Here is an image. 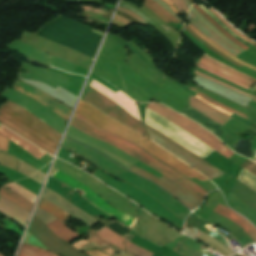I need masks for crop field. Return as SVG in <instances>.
<instances>
[{"label": "crop field", "mask_w": 256, "mask_h": 256, "mask_svg": "<svg viewBox=\"0 0 256 256\" xmlns=\"http://www.w3.org/2000/svg\"><path fill=\"white\" fill-rule=\"evenodd\" d=\"M34 216H36L38 219H40L45 224L57 219L54 216H52L51 214H49L39 208H36Z\"/></svg>", "instance_id": "28"}, {"label": "crop field", "mask_w": 256, "mask_h": 256, "mask_svg": "<svg viewBox=\"0 0 256 256\" xmlns=\"http://www.w3.org/2000/svg\"><path fill=\"white\" fill-rule=\"evenodd\" d=\"M175 6L178 8V10L181 12L182 8L184 9V11L187 13L188 9L186 7V5L184 4L183 0H171Z\"/></svg>", "instance_id": "38"}, {"label": "crop field", "mask_w": 256, "mask_h": 256, "mask_svg": "<svg viewBox=\"0 0 256 256\" xmlns=\"http://www.w3.org/2000/svg\"><path fill=\"white\" fill-rule=\"evenodd\" d=\"M195 9L201 13L207 20H209L216 28H218L224 35H226L228 38H230L233 42H235L237 45H239L243 49H247L246 46H244L242 43H240L238 40H236L234 37L226 33L212 18H210L200 7H198L196 4L193 5ZM229 39V40H230Z\"/></svg>", "instance_id": "27"}, {"label": "crop field", "mask_w": 256, "mask_h": 256, "mask_svg": "<svg viewBox=\"0 0 256 256\" xmlns=\"http://www.w3.org/2000/svg\"><path fill=\"white\" fill-rule=\"evenodd\" d=\"M191 12L201 21H203L215 34H217L220 38H222L224 41L229 43L230 45L238 48L241 52L244 51L231 41H229L227 38H225L220 31H218L211 23H209L202 15H200L193 7L191 9Z\"/></svg>", "instance_id": "26"}, {"label": "crop field", "mask_w": 256, "mask_h": 256, "mask_svg": "<svg viewBox=\"0 0 256 256\" xmlns=\"http://www.w3.org/2000/svg\"><path fill=\"white\" fill-rule=\"evenodd\" d=\"M158 4H160L163 8H165L169 13H171L174 17H176L181 23H183V21L172 11V9L166 5L164 2H162L161 0H155Z\"/></svg>", "instance_id": "36"}, {"label": "crop field", "mask_w": 256, "mask_h": 256, "mask_svg": "<svg viewBox=\"0 0 256 256\" xmlns=\"http://www.w3.org/2000/svg\"><path fill=\"white\" fill-rule=\"evenodd\" d=\"M190 29H192L199 37H201L202 39H204L205 41H207L209 44H211L213 47H215L216 49H218L219 51L223 52L224 54H226L227 56H229L230 58H232L233 60H235L236 62H239L253 70L256 71V68L253 66H250L244 62H242L241 60L237 59L236 57H234L233 55L229 54L228 52H226L224 49H222L221 47H219L218 45H216L214 42H212L210 39H208L207 37H205L203 34H201L199 31H197L190 23L187 25Z\"/></svg>", "instance_id": "24"}, {"label": "crop field", "mask_w": 256, "mask_h": 256, "mask_svg": "<svg viewBox=\"0 0 256 256\" xmlns=\"http://www.w3.org/2000/svg\"><path fill=\"white\" fill-rule=\"evenodd\" d=\"M195 97H197V98H199L200 100L206 102L207 104L211 105L212 107L216 108L217 110H219V111H221V112H223V113H225V114H227V115H229V116L231 115V113H229V112H227V111H225V110H223V109H221V108H219V107L214 106L213 104L207 102L206 100H204V99L201 98L200 96L197 95V96H195Z\"/></svg>", "instance_id": "42"}, {"label": "crop field", "mask_w": 256, "mask_h": 256, "mask_svg": "<svg viewBox=\"0 0 256 256\" xmlns=\"http://www.w3.org/2000/svg\"><path fill=\"white\" fill-rule=\"evenodd\" d=\"M28 231L39 240L47 249L58 253L61 256H88L77 251L67 242L53 234L41 221L33 217ZM29 232H27L24 243L32 244L37 247L46 249L39 241H37Z\"/></svg>", "instance_id": "4"}, {"label": "crop field", "mask_w": 256, "mask_h": 256, "mask_svg": "<svg viewBox=\"0 0 256 256\" xmlns=\"http://www.w3.org/2000/svg\"><path fill=\"white\" fill-rule=\"evenodd\" d=\"M0 135L10 139L11 141H13L14 143H16L17 145L21 146L22 148H24L25 150H27L28 152H30L35 158H39L41 157L43 154H45L46 152L38 149L37 147H35L34 145H32L30 142H28L27 140L21 138L20 136L8 131L7 129L1 127L0 128ZM29 153V154H30Z\"/></svg>", "instance_id": "17"}, {"label": "crop field", "mask_w": 256, "mask_h": 256, "mask_svg": "<svg viewBox=\"0 0 256 256\" xmlns=\"http://www.w3.org/2000/svg\"><path fill=\"white\" fill-rule=\"evenodd\" d=\"M41 197L47 199L51 203L55 204L56 206L60 207L61 209L65 210L67 213L71 214L87 226L91 227L97 223H99L97 220L93 219L89 215L85 214L82 210L75 207L71 203H69L67 200H65L63 197H61L59 194L44 188L43 193ZM70 211L75 212V214H72Z\"/></svg>", "instance_id": "11"}, {"label": "crop field", "mask_w": 256, "mask_h": 256, "mask_svg": "<svg viewBox=\"0 0 256 256\" xmlns=\"http://www.w3.org/2000/svg\"><path fill=\"white\" fill-rule=\"evenodd\" d=\"M148 3H150L152 6L157 8L162 14H164L166 17H168L173 23H179L177 19H175L171 14H169L165 9H163L161 6H159L157 3H155L152 0H144Z\"/></svg>", "instance_id": "32"}, {"label": "crop field", "mask_w": 256, "mask_h": 256, "mask_svg": "<svg viewBox=\"0 0 256 256\" xmlns=\"http://www.w3.org/2000/svg\"><path fill=\"white\" fill-rule=\"evenodd\" d=\"M9 140L0 136V148L7 151L9 146Z\"/></svg>", "instance_id": "40"}, {"label": "crop field", "mask_w": 256, "mask_h": 256, "mask_svg": "<svg viewBox=\"0 0 256 256\" xmlns=\"http://www.w3.org/2000/svg\"><path fill=\"white\" fill-rule=\"evenodd\" d=\"M29 85L20 80H16L13 85V90L29 95L30 97L34 98L38 102L42 103L43 105L54 111L64 120L68 121L70 113L72 111L71 109H69L59 101L55 100L54 98L46 95L45 93L33 88L34 86L31 87L32 85Z\"/></svg>", "instance_id": "9"}, {"label": "crop field", "mask_w": 256, "mask_h": 256, "mask_svg": "<svg viewBox=\"0 0 256 256\" xmlns=\"http://www.w3.org/2000/svg\"><path fill=\"white\" fill-rule=\"evenodd\" d=\"M118 11L124 12V13H126V14L132 16L133 18H135L136 20H138V21L141 22V23H146L143 19H141V18H140L139 16H137L135 13H133V12H131V11L125 9V8L119 7V8H118Z\"/></svg>", "instance_id": "35"}, {"label": "crop field", "mask_w": 256, "mask_h": 256, "mask_svg": "<svg viewBox=\"0 0 256 256\" xmlns=\"http://www.w3.org/2000/svg\"><path fill=\"white\" fill-rule=\"evenodd\" d=\"M0 196L8 199L12 202H14L15 204L19 205L20 207L24 208L25 210H27L28 212H31L34 204H32L31 202L21 198L20 196H18L16 193H14L13 191L3 187L0 190Z\"/></svg>", "instance_id": "20"}, {"label": "crop field", "mask_w": 256, "mask_h": 256, "mask_svg": "<svg viewBox=\"0 0 256 256\" xmlns=\"http://www.w3.org/2000/svg\"><path fill=\"white\" fill-rule=\"evenodd\" d=\"M198 67H200V68H202V69H204V70H206V71H209V72H211V73H213V74H216V75H218V76H220V77H222V78H225V79H227V80H229V81H231V82H234V83H236V84H238V85H240V86H242V87L248 89L247 86L242 85V84H240V83H238V82H235V81H233V80H231V79H228V78H226V77H223V76H221V75H219V74H217V73H215V72H213V71H211V70H209V69H207V68H205V67H203V66H201V65H198Z\"/></svg>", "instance_id": "41"}, {"label": "crop field", "mask_w": 256, "mask_h": 256, "mask_svg": "<svg viewBox=\"0 0 256 256\" xmlns=\"http://www.w3.org/2000/svg\"><path fill=\"white\" fill-rule=\"evenodd\" d=\"M164 2L168 3L170 5V7L173 9V11L178 14L177 10L174 8V6L172 5L173 3L170 0H163Z\"/></svg>", "instance_id": "45"}, {"label": "crop field", "mask_w": 256, "mask_h": 256, "mask_svg": "<svg viewBox=\"0 0 256 256\" xmlns=\"http://www.w3.org/2000/svg\"><path fill=\"white\" fill-rule=\"evenodd\" d=\"M184 28H185L190 34H192L198 41H200L203 45H205L207 48H209V49H211V50L217 52L218 54H220L221 56L225 57L226 59H228V60L231 61L232 63H234V64H236V65H238V66H240V67L243 66V65H241V64H238V63L232 61V60L229 59L227 56H225L223 53H221V52L217 51L216 49L212 48L209 44H207L204 40H202V39L199 38L194 32H192L186 25L184 26Z\"/></svg>", "instance_id": "29"}, {"label": "crop field", "mask_w": 256, "mask_h": 256, "mask_svg": "<svg viewBox=\"0 0 256 256\" xmlns=\"http://www.w3.org/2000/svg\"><path fill=\"white\" fill-rule=\"evenodd\" d=\"M86 242H87V241L82 240V241H79L78 243H74V244H72V245L78 249L79 247H81V246H82L83 244H85Z\"/></svg>", "instance_id": "44"}, {"label": "crop field", "mask_w": 256, "mask_h": 256, "mask_svg": "<svg viewBox=\"0 0 256 256\" xmlns=\"http://www.w3.org/2000/svg\"><path fill=\"white\" fill-rule=\"evenodd\" d=\"M204 57L206 58V59H208V60H210V61H212V62H214V63H216V64H218V65H220V66H222V67H224V68H226V69H228V70H231V71H233V72H235V73H238V74H240V75H242V76H245V77H247V78H249V79H251V80H253V81H255L256 82V79H254V78H252V77H249V76H247V75H245V74H243V73H240V72H238V71H236V70H234V69H231V68H229V67H227V66H225V65H223V64H221V63H219L218 61H216V60H214L213 58H211L210 56H208V55H204Z\"/></svg>", "instance_id": "33"}, {"label": "crop field", "mask_w": 256, "mask_h": 256, "mask_svg": "<svg viewBox=\"0 0 256 256\" xmlns=\"http://www.w3.org/2000/svg\"><path fill=\"white\" fill-rule=\"evenodd\" d=\"M91 256H108L106 254H104L103 252L99 251V250H96V251H87L85 252Z\"/></svg>", "instance_id": "43"}, {"label": "crop field", "mask_w": 256, "mask_h": 256, "mask_svg": "<svg viewBox=\"0 0 256 256\" xmlns=\"http://www.w3.org/2000/svg\"><path fill=\"white\" fill-rule=\"evenodd\" d=\"M240 166H242L243 168H245L246 170H248L249 172L256 176V163L248 160Z\"/></svg>", "instance_id": "34"}, {"label": "crop field", "mask_w": 256, "mask_h": 256, "mask_svg": "<svg viewBox=\"0 0 256 256\" xmlns=\"http://www.w3.org/2000/svg\"><path fill=\"white\" fill-rule=\"evenodd\" d=\"M147 108L153 110L160 116L164 117L165 119L175 123L176 125L184 128L191 134H193L195 137L209 145L211 148L225 156L226 158H230L234 153L229 151L228 148H225V146L220 143L218 139H216L214 136H212L207 131L203 130L196 124H194L192 121L182 117L181 115L177 114L173 110L169 109L168 107L162 105V104H152L149 103Z\"/></svg>", "instance_id": "5"}, {"label": "crop field", "mask_w": 256, "mask_h": 256, "mask_svg": "<svg viewBox=\"0 0 256 256\" xmlns=\"http://www.w3.org/2000/svg\"><path fill=\"white\" fill-rule=\"evenodd\" d=\"M0 212L12 218L23 227H25L27 219L30 215V213H28L24 209L20 208L19 206L1 197H0Z\"/></svg>", "instance_id": "14"}, {"label": "crop field", "mask_w": 256, "mask_h": 256, "mask_svg": "<svg viewBox=\"0 0 256 256\" xmlns=\"http://www.w3.org/2000/svg\"><path fill=\"white\" fill-rule=\"evenodd\" d=\"M82 100L90 103L91 105L106 113L108 116L131 127L132 129L149 138L141 121L128 114L126 111L120 108L121 106L119 107L116 105L117 103L115 104L104 95L99 93L97 90L90 87Z\"/></svg>", "instance_id": "6"}, {"label": "crop field", "mask_w": 256, "mask_h": 256, "mask_svg": "<svg viewBox=\"0 0 256 256\" xmlns=\"http://www.w3.org/2000/svg\"><path fill=\"white\" fill-rule=\"evenodd\" d=\"M214 212L231 219L237 225L242 227L254 242L256 241V229L245 218L221 204H218Z\"/></svg>", "instance_id": "13"}, {"label": "crop field", "mask_w": 256, "mask_h": 256, "mask_svg": "<svg viewBox=\"0 0 256 256\" xmlns=\"http://www.w3.org/2000/svg\"><path fill=\"white\" fill-rule=\"evenodd\" d=\"M189 17L192 19L190 22L192 25H194L200 32H202L205 36L213 40L219 46H221L222 48H224L225 50H227L235 56L241 53L232 46L228 45L218 36H216L203 22L199 21L192 13H190Z\"/></svg>", "instance_id": "16"}, {"label": "crop field", "mask_w": 256, "mask_h": 256, "mask_svg": "<svg viewBox=\"0 0 256 256\" xmlns=\"http://www.w3.org/2000/svg\"><path fill=\"white\" fill-rule=\"evenodd\" d=\"M146 129L148 131H150L151 133H153L154 135L158 136L159 138L163 139L164 141H166L167 143L171 144L172 146H174L175 148H177L178 150L182 151L183 153L187 154L188 156L192 157L193 159L197 160L198 162L202 163L203 165L207 166L208 168H210L211 170L215 171L216 173H218L219 175H223V171L215 168L214 166L210 165L209 163L205 162L204 160L200 159L199 157L195 156L194 154H192L191 152L187 151L186 149H184L183 147L179 146L178 144H176L175 142H173L172 140L168 139L167 137H165L164 135L158 133L157 131L149 128L146 126ZM150 134V137L152 139V141H154L155 143H157L158 145L162 146L163 148H165L166 150L170 151L171 153H173L174 155H176L178 158H180L182 161H184L185 163L193 166L194 168H196L198 171H200L202 174H204L206 177H208L209 179H213L216 177H220L218 174L214 173L213 171H211L210 169L206 168L205 166H203L202 164L198 163L197 161L193 160L192 158L188 157L187 155L183 154L182 152L178 151L177 149H175L174 147L170 146L169 144H167L166 142H164L163 140L159 139L158 137L154 136L153 134Z\"/></svg>", "instance_id": "8"}, {"label": "crop field", "mask_w": 256, "mask_h": 256, "mask_svg": "<svg viewBox=\"0 0 256 256\" xmlns=\"http://www.w3.org/2000/svg\"><path fill=\"white\" fill-rule=\"evenodd\" d=\"M88 241L95 244L101 250L107 252L108 254H110L112 256H114L116 253H119L122 251L95 233H90V237H89Z\"/></svg>", "instance_id": "21"}, {"label": "crop field", "mask_w": 256, "mask_h": 256, "mask_svg": "<svg viewBox=\"0 0 256 256\" xmlns=\"http://www.w3.org/2000/svg\"><path fill=\"white\" fill-rule=\"evenodd\" d=\"M74 127L102 140L107 143H110L123 151L127 154L137 158L139 161L147 164L148 166L160 171L162 174L166 175L170 179L174 180L182 187H184L187 191L193 194L196 198L200 201L205 197L208 193L205 190L198 187L196 184L191 182L189 179H186L184 176L176 172L175 170L171 169L167 165L157 161L154 157L144 152L138 146L94 125L89 120L85 119L78 113H75L73 121L71 123Z\"/></svg>", "instance_id": "1"}, {"label": "crop field", "mask_w": 256, "mask_h": 256, "mask_svg": "<svg viewBox=\"0 0 256 256\" xmlns=\"http://www.w3.org/2000/svg\"><path fill=\"white\" fill-rule=\"evenodd\" d=\"M185 4L188 6V8L190 7V3L188 0H184Z\"/></svg>", "instance_id": "47"}, {"label": "crop field", "mask_w": 256, "mask_h": 256, "mask_svg": "<svg viewBox=\"0 0 256 256\" xmlns=\"http://www.w3.org/2000/svg\"><path fill=\"white\" fill-rule=\"evenodd\" d=\"M52 232H54L57 236L61 237L68 243L75 240L79 236L74 233L67 226L63 225L58 219L46 225Z\"/></svg>", "instance_id": "19"}, {"label": "crop field", "mask_w": 256, "mask_h": 256, "mask_svg": "<svg viewBox=\"0 0 256 256\" xmlns=\"http://www.w3.org/2000/svg\"><path fill=\"white\" fill-rule=\"evenodd\" d=\"M191 4L194 3L193 0H190Z\"/></svg>", "instance_id": "48"}, {"label": "crop field", "mask_w": 256, "mask_h": 256, "mask_svg": "<svg viewBox=\"0 0 256 256\" xmlns=\"http://www.w3.org/2000/svg\"><path fill=\"white\" fill-rule=\"evenodd\" d=\"M215 16H217L231 31H233L235 34L243 38L244 40L248 41L249 43L256 46V43L250 40L248 37L238 33L235 29H233L222 17H220L212 8L209 9Z\"/></svg>", "instance_id": "31"}, {"label": "crop field", "mask_w": 256, "mask_h": 256, "mask_svg": "<svg viewBox=\"0 0 256 256\" xmlns=\"http://www.w3.org/2000/svg\"><path fill=\"white\" fill-rule=\"evenodd\" d=\"M51 178L55 179L56 181L62 183L63 185L67 186L71 190H82L84 195H82L85 199H87L91 204H93L96 208L106 212L111 217L117 219L121 223L125 224L126 226H131L134 222V218L131 216L120 212L110 205H108L102 198H100L97 194L87 188L84 184L78 182L77 180L73 179L72 177L66 175L61 171H57Z\"/></svg>", "instance_id": "7"}, {"label": "crop field", "mask_w": 256, "mask_h": 256, "mask_svg": "<svg viewBox=\"0 0 256 256\" xmlns=\"http://www.w3.org/2000/svg\"><path fill=\"white\" fill-rule=\"evenodd\" d=\"M147 8H149L151 11H153L154 13H156L158 16H160L166 23H170L171 21L169 19H167L165 16H163L159 11H157L156 9H154L150 4L144 2V4Z\"/></svg>", "instance_id": "37"}, {"label": "crop field", "mask_w": 256, "mask_h": 256, "mask_svg": "<svg viewBox=\"0 0 256 256\" xmlns=\"http://www.w3.org/2000/svg\"><path fill=\"white\" fill-rule=\"evenodd\" d=\"M0 256H2V255H0Z\"/></svg>", "instance_id": "49"}, {"label": "crop field", "mask_w": 256, "mask_h": 256, "mask_svg": "<svg viewBox=\"0 0 256 256\" xmlns=\"http://www.w3.org/2000/svg\"><path fill=\"white\" fill-rule=\"evenodd\" d=\"M121 7H125L127 9H130L132 11H134L136 14H138L141 18H143L145 21L149 22V23H153L150 19H148L146 16H144L143 14H141L140 12H138L137 10L133 9L130 6L124 5V4H120Z\"/></svg>", "instance_id": "39"}, {"label": "crop field", "mask_w": 256, "mask_h": 256, "mask_svg": "<svg viewBox=\"0 0 256 256\" xmlns=\"http://www.w3.org/2000/svg\"><path fill=\"white\" fill-rule=\"evenodd\" d=\"M199 63L204 65V66H206V67H208V68H210V69H212V70H214V71H216V72H218V73H220V74H222V75H224V76H226V77H228V78L234 79V80H236V81H238V82H240L242 84L251 86L253 88L256 86L255 82H252V81H250V80H248V79H246V78H244V77H242L240 75H237V74H235L233 72H230V71H228V70H226V69H224V68H222V67H220V66H218V65H216V64H214V63H212V62H210L208 60H206L203 57L200 58V62ZM250 83H252V84H250Z\"/></svg>", "instance_id": "18"}, {"label": "crop field", "mask_w": 256, "mask_h": 256, "mask_svg": "<svg viewBox=\"0 0 256 256\" xmlns=\"http://www.w3.org/2000/svg\"><path fill=\"white\" fill-rule=\"evenodd\" d=\"M194 98L191 96L189 97V105L194 107L195 109L199 110L200 112L204 113L205 115L209 116L211 120L223 125L231 119V117H229L223 113H220L219 111L211 108L210 106H208Z\"/></svg>", "instance_id": "15"}, {"label": "crop field", "mask_w": 256, "mask_h": 256, "mask_svg": "<svg viewBox=\"0 0 256 256\" xmlns=\"http://www.w3.org/2000/svg\"><path fill=\"white\" fill-rule=\"evenodd\" d=\"M76 112L82 114L87 119L95 123L96 125L122 137L125 138L139 147L143 148L147 152L154 155L159 160L163 161L164 163L168 164L169 166L173 167L177 171L181 172L188 178L195 177L199 180H207L199 173H197L194 169L190 168L186 164L182 163L175 157H173L168 152L164 151L160 147L156 146L155 144L151 143L147 138L139 135L138 133L132 131L131 129L111 120L102 112L96 110L95 108L91 107L90 105L86 104L83 101H80Z\"/></svg>", "instance_id": "3"}, {"label": "crop field", "mask_w": 256, "mask_h": 256, "mask_svg": "<svg viewBox=\"0 0 256 256\" xmlns=\"http://www.w3.org/2000/svg\"><path fill=\"white\" fill-rule=\"evenodd\" d=\"M95 233L99 234L100 236L105 238L110 243L125 250L124 246L122 245V241H124V245L127 247V251L136 256H151L152 255V253H150L142 248H139V247L123 240L122 238L118 237L117 235L112 233L110 230H108L106 227L95 232Z\"/></svg>", "instance_id": "12"}, {"label": "crop field", "mask_w": 256, "mask_h": 256, "mask_svg": "<svg viewBox=\"0 0 256 256\" xmlns=\"http://www.w3.org/2000/svg\"><path fill=\"white\" fill-rule=\"evenodd\" d=\"M129 170L159 184L161 187H163L165 190H167L173 196L178 198L181 202H183L187 207H189L192 210L197 208L201 203L194 196H192L190 193H188L185 189H183L181 186H179L175 182L171 181L164 175L158 179V178H156V177H154V176H152L134 166L131 167Z\"/></svg>", "instance_id": "10"}, {"label": "crop field", "mask_w": 256, "mask_h": 256, "mask_svg": "<svg viewBox=\"0 0 256 256\" xmlns=\"http://www.w3.org/2000/svg\"><path fill=\"white\" fill-rule=\"evenodd\" d=\"M181 114H183L184 116H186V117H188V118L194 120L193 118L189 117L188 115H186V114H184V113H181ZM194 121H196V120H194ZM196 122H197V123H200V122H198V121H196Z\"/></svg>", "instance_id": "46"}, {"label": "crop field", "mask_w": 256, "mask_h": 256, "mask_svg": "<svg viewBox=\"0 0 256 256\" xmlns=\"http://www.w3.org/2000/svg\"><path fill=\"white\" fill-rule=\"evenodd\" d=\"M190 89L193 90L194 92H196L198 95H200V96L203 97L204 99L208 100L209 102H211V103H213V104H215V105H217V106H219V107H221V108H223V109H226V110H228V111H230V112H233V113H235V114H237V115H239V116H241V117L247 119V117H246L245 115H243V114H241V113H239V112H237V111H234V110H232V109H230V108H228V107H225V106H223V105H221V104L215 102V101L212 100L211 98H209V97H207V96H205V95L199 93L198 91H196V90L193 89V88H190ZM247 120H248V119H247Z\"/></svg>", "instance_id": "30"}, {"label": "crop field", "mask_w": 256, "mask_h": 256, "mask_svg": "<svg viewBox=\"0 0 256 256\" xmlns=\"http://www.w3.org/2000/svg\"><path fill=\"white\" fill-rule=\"evenodd\" d=\"M20 250L24 251L25 253H27L30 256H56L50 252L41 250L37 247L31 246V245H27L22 243ZM18 252L17 256H28L27 254H25L24 252L20 251Z\"/></svg>", "instance_id": "23"}, {"label": "crop field", "mask_w": 256, "mask_h": 256, "mask_svg": "<svg viewBox=\"0 0 256 256\" xmlns=\"http://www.w3.org/2000/svg\"><path fill=\"white\" fill-rule=\"evenodd\" d=\"M0 108V123L3 126L55 154L62 134L12 102L8 101Z\"/></svg>", "instance_id": "2"}, {"label": "crop field", "mask_w": 256, "mask_h": 256, "mask_svg": "<svg viewBox=\"0 0 256 256\" xmlns=\"http://www.w3.org/2000/svg\"><path fill=\"white\" fill-rule=\"evenodd\" d=\"M0 164L11 167L18 171L19 159L0 149Z\"/></svg>", "instance_id": "25"}, {"label": "crop field", "mask_w": 256, "mask_h": 256, "mask_svg": "<svg viewBox=\"0 0 256 256\" xmlns=\"http://www.w3.org/2000/svg\"><path fill=\"white\" fill-rule=\"evenodd\" d=\"M37 206L51 213L63 223H65L66 220L69 218V215L66 212L62 211L61 209L57 208L56 206L42 198L40 199Z\"/></svg>", "instance_id": "22"}]
</instances>
